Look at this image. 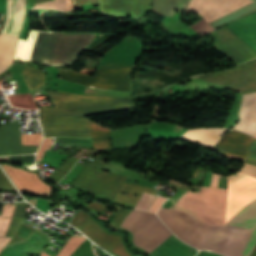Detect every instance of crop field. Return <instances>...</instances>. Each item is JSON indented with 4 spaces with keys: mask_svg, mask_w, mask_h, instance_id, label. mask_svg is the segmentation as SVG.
<instances>
[{
    "mask_svg": "<svg viewBox=\"0 0 256 256\" xmlns=\"http://www.w3.org/2000/svg\"><path fill=\"white\" fill-rule=\"evenodd\" d=\"M227 189L204 187L199 193L187 191L177 206L196 213L199 220L213 226L224 225ZM252 230L228 226H213L197 248L240 256Z\"/></svg>",
    "mask_w": 256,
    "mask_h": 256,
    "instance_id": "1",
    "label": "crop field"
},
{
    "mask_svg": "<svg viewBox=\"0 0 256 256\" xmlns=\"http://www.w3.org/2000/svg\"><path fill=\"white\" fill-rule=\"evenodd\" d=\"M97 33L40 32L30 29L26 40H19L14 59L49 66H70L79 52Z\"/></svg>",
    "mask_w": 256,
    "mask_h": 256,
    "instance_id": "2",
    "label": "crop field"
},
{
    "mask_svg": "<svg viewBox=\"0 0 256 256\" xmlns=\"http://www.w3.org/2000/svg\"><path fill=\"white\" fill-rule=\"evenodd\" d=\"M225 177L228 178L225 221H229L256 203V179L240 171ZM225 224L254 229L242 254L248 256L256 242V205L249 207Z\"/></svg>",
    "mask_w": 256,
    "mask_h": 256,
    "instance_id": "3",
    "label": "crop field"
},
{
    "mask_svg": "<svg viewBox=\"0 0 256 256\" xmlns=\"http://www.w3.org/2000/svg\"><path fill=\"white\" fill-rule=\"evenodd\" d=\"M47 94L55 107L39 110V113L43 112V117L40 120L136 108L132 99L89 96L60 91H47Z\"/></svg>",
    "mask_w": 256,
    "mask_h": 256,
    "instance_id": "4",
    "label": "crop field"
},
{
    "mask_svg": "<svg viewBox=\"0 0 256 256\" xmlns=\"http://www.w3.org/2000/svg\"><path fill=\"white\" fill-rule=\"evenodd\" d=\"M228 30L256 50V12L225 25ZM211 33L219 41L214 45L236 65L256 57V51L226 28Z\"/></svg>",
    "mask_w": 256,
    "mask_h": 256,
    "instance_id": "5",
    "label": "crop field"
},
{
    "mask_svg": "<svg viewBox=\"0 0 256 256\" xmlns=\"http://www.w3.org/2000/svg\"><path fill=\"white\" fill-rule=\"evenodd\" d=\"M133 235V243L148 253L172 233L155 214L132 210L120 225Z\"/></svg>",
    "mask_w": 256,
    "mask_h": 256,
    "instance_id": "6",
    "label": "crop field"
},
{
    "mask_svg": "<svg viewBox=\"0 0 256 256\" xmlns=\"http://www.w3.org/2000/svg\"><path fill=\"white\" fill-rule=\"evenodd\" d=\"M128 176L85 166L71 183L102 198L113 200Z\"/></svg>",
    "mask_w": 256,
    "mask_h": 256,
    "instance_id": "7",
    "label": "crop field"
},
{
    "mask_svg": "<svg viewBox=\"0 0 256 256\" xmlns=\"http://www.w3.org/2000/svg\"><path fill=\"white\" fill-rule=\"evenodd\" d=\"M134 66L114 69L96 70L93 77L59 68V79L86 84L85 87L129 91L130 75Z\"/></svg>",
    "mask_w": 256,
    "mask_h": 256,
    "instance_id": "8",
    "label": "crop field"
},
{
    "mask_svg": "<svg viewBox=\"0 0 256 256\" xmlns=\"http://www.w3.org/2000/svg\"><path fill=\"white\" fill-rule=\"evenodd\" d=\"M159 218L175 233L179 239L196 247L211 226L176 210L164 209Z\"/></svg>",
    "mask_w": 256,
    "mask_h": 256,
    "instance_id": "9",
    "label": "crop field"
},
{
    "mask_svg": "<svg viewBox=\"0 0 256 256\" xmlns=\"http://www.w3.org/2000/svg\"><path fill=\"white\" fill-rule=\"evenodd\" d=\"M195 77L241 93L253 91L256 90V59L225 72Z\"/></svg>",
    "mask_w": 256,
    "mask_h": 256,
    "instance_id": "10",
    "label": "crop field"
},
{
    "mask_svg": "<svg viewBox=\"0 0 256 256\" xmlns=\"http://www.w3.org/2000/svg\"><path fill=\"white\" fill-rule=\"evenodd\" d=\"M45 137L70 136L91 138L89 119L85 116L42 121Z\"/></svg>",
    "mask_w": 256,
    "mask_h": 256,
    "instance_id": "11",
    "label": "crop field"
},
{
    "mask_svg": "<svg viewBox=\"0 0 256 256\" xmlns=\"http://www.w3.org/2000/svg\"><path fill=\"white\" fill-rule=\"evenodd\" d=\"M250 2L252 0H191L187 11L202 15L210 23Z\"/></svg>",
    "mask_w": 256,
    "mask_h": 256,
    "instance_id": "12",
    "label": "crop field"
},
{
    "mask_svg": "<svg viewBox=\"0 0 256 256\" xmlns=\"http://www.w3.org/2000/svg\"><path fill=\"white\" fill-rule=\"evenodd\" d=\"M1 166L20 191L35 193L37 195L51 194V186L41 181L36 173L24 171L21 168L6 164H2Z\"/></svg>",
    "mask_w": 256,
    "mask_h": 256,
    "instance_id": "13",
    "label": "crop field"
},
{
    "mask_svg": "<svg viewBox=\"0 0 256 256\" xmlns=\"http://www.w3.org/2000/svg\"><path fill=\"white\" fill-rule=\"evenodd\" d=\"M79 230L101 247H104L119 256H132L126 251L120 235L108 234L90 218Z\"/></svg>",
    "mask_w": 256,
    "mask_h": 256,
    "instance_id": "14",
    "label": "crop field"
},
{
    "mask_svg": "<svg viewBox=\"0 0 256 256\" xmlns=\"http://www.w3.org/2000/svg\"><path fill=\"white\" fill-rule=\"evenodd\" d=\"M38 146H21L18 122L0 126V156L36 152Z\"/></svg>",
    "mask_w": 256,
    "mask_h": 256,
    "instance_id": "15",
    "label": "crop field"
},
{
    "mask_svg": "<svg viewBox=\"0 0 256 256\" xmlns=\"http://www.w3.org/2000/svg\"><path fill=\"white\" fill-rule=\"evenodd\" d=\"M254 139L248 135L230 130L212 150L239 160H244L249 142Z\"/></svg>",
    "mask_w": 256,
    "mask_h": 256,
    "instance_id": "16",
    "label": "crop field"
},
{
    "mask_svg": "<svg viewBox=\"0 0 256 256\" xmlns=\"http://www.w3.org/2000/svg\"><path fill=\"white\" fill-rule=\"evenodd\" d=\"M152 0H99L104 12L120 16H144Z\"/></svg>",
    "mask_w": 256,
    "mask_h": 256,
    "instance_id": "17",
    "label": "crop field"
},
{
    "mask_svg": "<svg viewBox=\"0 0 256 256\" xmlns=\"http://www.w3.org/2000/svg\"><path fill=\"white\" fill-rule=\"evenodd\" d=\"M240 121L232 128L256 136V92L244 94L240 107Z\"/></svg>",
    "mask_w": 256,
    "mask_h": 256,
    "instance_id": "18",
    "label": "crop field"
},
{
    "mask_svg": "<svg viewBox=\"0 0 256 256\" xmlns=\"http://www.w3.org/2000/svg\"><path fill=\"white\" fill-rule=\"evenodd\" d=\"M25 0H7V14L1 33L19 37L24 24Z\"/></svg>",
    "mask_w": 256,
    "mask_h": 256,
    "instance_id": "19",
    "label": "crop field"
},
{
    "mask_svg": "<svg viewBox=\"0 0 256 256\" xmlns=\"http://www.w3.org/2000/svg\"><path fill=\"white\" fill-rule=\"evenodd\" d=\"M255 11H256V1L210 23V25L214 29H217L229 22H232L236 19H239ZM210 25L204 19H202L196 22L195 24L191 25L190 27H192L198 33L203 35V34L214 31V29Z\"/></svg>",
    "mask_w": 256,
    "mask_h": 256,
    "instance_id": "20",
    "label": "crop field"
},
{
    "mask_svg": "<svg viewBox=\"0 0 256 256\" xmlns=\"http://www.w3.org/2000/svg\"><path fill=\"white\" fill-rule=\"evenodd\" d=\"M197 250L183 244L174 235L157 248L150 256H194Z\"/></svg>",
    "mask_w": 256,
    "mask_h": 256,
    "instance_id": "21",
    "label": "crop field"
},
{
    "mask_svg": "<svg viewBox=\"0 0 256 256\" xmlns=\"http://www.w3.org/2000/svg\"><path fill=\"white\" fill-rule=\"evenodd\" d=\"M226 130L218 128L193 129L183 134L181 138L213 147Z\"/></svg>",
    "mask_w": 256,
    "mask_h": 256,
    "instance_id": "22",
    "label": "crop field"
},
{
    "mask_svg": "<svg viewBox=\"0 0 256 256\" xmlns=\"http://www.w3.org/2000/svg\"><path fill=\"white\" fill-rule=\"evenodd\" d=\"M143 191L151 194H153L154 192L153 189L125 183L123 188L121 189V191L118 193V195L115 197L113 201L134 208ZM122 192H125V194H123ZM156 192L157 190H155L154 193L156 194ZM128 193H131V194H128ZM134 194H136V196Z\"/></svg>",
    "mask_w": 256,
    "mask_h": 256,
    "instance_id": "23",
    "label": "crop field"
},
{
    "mask_svg": "<svg viewBox=\"0 0 256 256\" xmlns=\"http://www.w3.org/2000/svg\"><path fill=\"white\" fill-rule=\"evenodd\" d=\"M18 40L17 38L0 34V73L12 63Z\"/></svg>",
    "mask_w": 256,
    "mask_h": 256,
    "instance_id": "24",
    "label": "crop field"
},
{
    "mask_svg": "<svg viewBox=\"0 0 256 256\" xmlns=\"http://www.w3.org/2000/svg\"><path fill=\"white\" fill-rule=\"evenodd\" d=\"M190 0H153V12L171 17L176 12H186Z\"/></svg>",
    "mask_w": 256,
    "mask_h": 256,
    "instance_id": "25",
    "label": "crop field"
},
{
    "mask_svg": "<svg viewBox=\"0 0 256 256\" xmlns=\"http://www.w3.org/2000/svg\"><path fill=\"white\" fill-rule=\"evenodd\" d=\"M91 123V132H92V140H93V148L103 149L110 148L111 143L109 140L111 129L98 124L92 120Z\"/></svg>",
    "mask_w": 256,
    "mask_h": 256,
    "instance_id": "26",
    "label": "crop field"
},
{
    "mask_svg": "<svg viewBox=\"0 0 256 256\" xmlns=\"http://www.w3.org/2000/svg\"><path fill=\"white\" fill-rule=\"evenodd\" d=\"M23 77L28 85L29 90L44 85V73L28 66H24Z\"/></svg>",
    "mask_w": 256,
    "mask_h": 256,
    "instance_id": "27",
    "label": "crop field"
},
{
    "mask_svg": "<svg viewBox=\"0 0 256 256\" xmlns=\"http://www.w3.org/2000/svg\"><path fill=\"white\" fill-rule=\"evenodd\" d=\"M12 106L24 109H37L31 94H17L7 96Z\"/></svg>",
    "mask_w": 256,
    "mask_h": 256,
    "instance_id": "28",
    "label": "crop field"
},
{
    "mask_svg": "<svg viewBox=\"0 0 256 256\" xmlns=\"http://www.w3.org/2000/svg\"><path fill=\"white\" fill-rule=\"evenodd\" d=\"M65 11H70L75 9L73 0H64ZM63 0H54L51 2L41 3L35 5L32 9H44V10H55L64 11Z\"/></svg>",
    "mask_w": 256,
    "mask_h": 256,
    "instance_id": "29",
    "label": "crop field"
},
{
    "mask_svg": "<svg viewBox=\"0 0 256 256\" xmlns=\"http://www.w3.org/2000/svg\"><path fill=\"white\" fill-rule=\"evenodd\" d=\"M26 206H27L26 203H17L16 209L14 211L6 236L13 237L14 233L16 232V230L18 229V227L20 226L24 218Z\"/></svg>",
    "mask_w": 256,
    "mask_h": 256,
    "instance_id": "30",
    "label": "crop field"
},
{
    "mask_svg": "<svg viewBox=\"0 0 256 256\" xmlns=\"http://www.w3.org/2000/svg\"><path fill=\"white\" fill-rule=\"evenodd\" d=\"M77 159L68 157L63 164L57 168L49 177L48 179L58 182L61 180L67 172L71 169V167L76 163Z\"/></svg>",
    "mask_w": 256,
    "mask_h": 256,
    "instance_id": "31",
    "label": "crop field"
},
{
    "mask_svg": "<svg viewBox=\"0 0 256 256\" xmlns=\"http://www.w3.org/2000/svg\"><path fill=\"white\" fill-rule=\"evenodd\" d=\"M15 205H3L2 216H0V236H5Z\"/></svg>",
    "mask_w": 256,
    "mask_h": 256,
    "instance_id": "32",
    "label": "crop field"
},
{
    "mask_svg": "<svg viewBox=\"0 0 256 256\" xmlns=\"http://www.w3.org/2000/svg\"><path fill=\"white\" fill-rule=\"evenodd\" d=\"M85 238L72 236L57 256H70L83 242ZM41 256H48L44 251Z\"/></svg>",
    "mask_w": 256,
    "mask_h": 256,
    "instance_id": "33",
    "label": "crop field"
},
{
    "mask_svg": "<svg viewBox=\"0 0 256 256\" xmlns=\"http://www.w3.org/2000/svg\"><path fill=\"white\" fill-rule=\"evenodd\" d=\"M155 198L156 196L144 192L135 209L148 211Z\"/></svg>",
    "mask_w": 256,
    "mask_h": 256,
    "instance_id": "34",
    "label": "crop field"
},
{
    "mask_svg": "<svg viewBox=\"0 0 256 256\" xmlns=\"http://www.w3.org/2000/svg\"><path fill=\"white\" fill-rule=\"evenodd\" d=\"M41 138L42 133L21 134L22 145H38Z\"/></svg>",
    "mask_w": 256,
    "mask_h": 256,
    "instance_id": "35",
    "label": "crop field"
},
{
    "mask_svg": "<svg viewBox=\"0 0 256 256\" xmlns=\"http://www.w3.org/2000/svg\"><path fill=\"white\" fill-rule=\"evenodd\" d=\"M245 162L256 165V139L249 145L248 156Z\"/></svg>",
    "mask_w": 256,
    "mask_h": 256,
    "instance_id": "36",
    "label": "crop field"
},
{
    "mask_svg": "<svg viewBox=\"0 0 256 256\" xmlns=\"http://www.w3.org/2000/svg\"><path fill=\"white\" fill-rule=\"evenodd\" d=\"M90 215L79 211L76 216L73 218L70 224L74 225L75 227L79 228L88 218Z\"/></svg>",
    "mask_w": 256,
    "mask_h": 256,
    "instance_id": "37",
    "label": "crop field"
},
{
    "mask_svg": "<svg viewBox=\"0 0 256 256\" xmlns=\"http://www.w3.org/2000/svg\"><path fill=\"white\" fill-rule=\"evenodd\" d=\"M52 140L53 138H45L38 153H37V158H36V162H40L42 156L44 155L46 150L50 149V146L52 144Z\"/></svg>",
    "mask_w": 256,
    "mask_h": 256,
    "instance_id": "38",
    "label": "crop field"
},
{
    "mask_svg": "<svg viewBox=\"0 0 256 256\" xmlns=\"http://www.w3.org/2000/svg\"><path fill=\"white\" fill-rule=\"evenodd\" d=\"M131 211V209L123 208L121 207L120 211L116 215V217L113 219L112 223L113 225L118 228L123 219L128 215V213Z\"/></svg>",
    "mask_w": 256,
    "mask_h": 256,
    "instance_id": "39",
    "label": "crop field"
},
{
    "mask_svg": "<svg viewBox=\"0 0 256 256\" xmlns=\"http://www.w3.org/2000/svg\"><path fill=\"white\" fill-rule=\"evenodd\" d=\"M3 189H10L15 190L13 185L10 183L6 175L3 173V171L0 169V190Z\"/></svg>",
    "mask_w": 256,
    "mask_h": 256,
    "instance_id": "40",
    "label": "crop field"
},
{
    "mask_svg": "<svg viewBox=\"0 0 256 256\" xmlns=\"http://www.w3.org/2000/svg\"><path fill=\"white\" fill-rule=\"evenodd\" d=\"M240 171H242L248 175H252V176L256 177V166H254V165L244 163V165L241 167Z\"/></svg>",
    "mask_w": 256,
    "mask_h": 256,
    "instance_id": "41",
    "label": "crop field"
},
{
    "mask_svg": "<svg viewBox=\"0 0 256 256\" xmlns=\"http://www.w3.org/2000/svg\"><path fill=\"white\" fill-rule=\"evenodd\" d=\"M165 200H166V199L160 198V197L157 196L156 200L154 201V203L152 204L151 208L149 209V212L157 213L159 207L161 206V204H162Z\"/></svg>",
    "mask_w": 256,
    "mask_h": 256,
    "instance_id": "42",
    "label": "crop field"
},
{
    "mask_svg": "<svg viewBox=\"0 0 256 256\" xmlns=\"http://www.w3.org/2000/svg\"><path fill=\"white\" fill-rule=\"evenodd\" d=\"M87 207L92 208V209L100 212L103 209H105L107 206H104V205H102L100 203L93 202V203L87 205Z\"/></svg>",
    "mask_w": 256,
    "mask_h": 256,
    "instance_id": "43",
    "label": "crop field"
},
{
    "mask_svg": "<svg viewBox=\"0 0 256 256\" xmlns=\"http://www.w3.org/2000/svg\"><path fill=\"white\" fill-rule=\"evenodd\" d=\"M76 7H81L84 4H97L96 0H75Z\"/></svg>",
    "mask_w": 256,
    "mask_h": 256,
    "instance_id": "44",
    "label": "crop field"
},
{
    "mask_svg": "<svg viewBox=\"0 0 256 256\" xmlns=\"http://www.w3.org/2000/svg\"><path fill=\"white\" fill-rule=\"evenodd\" d=\"M11 238H0V252L5 245L10 241Z\"/></svg>",
    "mask_w": 256,
    "mask_h": 256,
    "instance_id": "45",
    "label": "crop field"
},
{
    "mask_svg": "<svg viewBox=\"0 0 256 256\" xmlns=\"http://www.w3.org/2000/svg\"><path fill=\"white\" fill-rule=\"evenodd\" d=\"M196 256H222V255L213 254V253H209V252H205V251H200V253Z\"/></svg>",
    "mask_w": 256,
    "mask_h": 256,
    "instance_id": "46",
    "label": "crop field"
},
{
    "mask_svg": "<svg viewBox=\"0 0 256 256\" xmlns=\"http://www.w3.org/2000/svg\"><path fill=\"white\" fill-rule=\"evenodd\" d=\"M218 176H219L218 173H214V172H213V178H212V184H211V186H216L217 180H218Z\"/></svg>",
    "mask_w": 256,
    "mask_h": 256,
    "instance_id": "47",
    "label": "crop field"
},
{
    "mask_svg": "<svg viewBox=\"0 0 256 256\" xmlns=\"http://www.w3.org/2000/svg\"><path fill=\"white\" fill-rule=\"evenodd\" d=\"M46 1H51V0H35V4L41 3V2H46Z\"/></svg>",
    "mask_w": 256,
    "mask_h": 256,
    "instance_id": "48",
    "label": "crop field"
},
{
    "mask_svg": "<svg viewBox=\"0 0 256 256\" xmlns=\"http://www.w3.org/2000/svg\"><path fill=\"white\" fill-rule=\"evenodd\" d=\"M254 249V248H253ZM250 256H256V247L255 249L252 251V253L250 254Z\"/></svg>",
    "mask_w": 256,
    "mask_h": 256,
    "instance_id": "49",
    "label": "crop field"
},
{
    "mask_svg": "<svg viewBox=\"0 0 256 256\" xmlns=\"http://www.w3.org/2000/svg\"><path fill=\"white\" fill-rule=\"evenodd\" d=\"M2 16H3V14H0V27H1V22H2Z\"/></svg>",
    "mask_w": 256,
    "mask_h": 256,
    "instance_id": "50",
    "label": "crop field"
}]
</instances>
